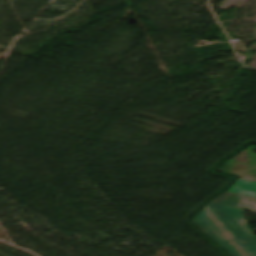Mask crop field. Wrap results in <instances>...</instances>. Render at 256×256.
Returning <instances> with one entry per match:
<instances>
[{
    "instance_id": "1",
    "label": "crop field",
    "mask_w": 256,
    "mask_h": 256,
    "mask_svg": "<svg viewBox=\"0 0 256 256\" xmlns=\"http://www.w3.org/2000/svg\"><path fill=\"white\" fill-rule=\"evenodd\" d=\"M192 222L232 256H256V236L241 209L211 202Z\"/></svg>"
},
{
    "instance_id": "2",
    "label": "crop field",
    "mask_w": 256,
    "mask_h": 256,
    "mask_svg": "<svg viewBox=\"0 0 256 256\" xmlns=\"http://www.w3.org/2000/svg\"><path fill=\"white\" fill-rule=\"evenodd\" d=\"M256 146L247 147L230 161H228V174L238 177L256 172V153L251 150Z\"/></svg>"
},
{
    "instance_id": "3",
    "label": "crop field",
    "mask_w": 256,
    "mask_h": 256,
    "mask_svg": "<svg viewBox=\"0 0 256 256\" xmlns=\"http://www.w3.org/2000/svg\"><path fill=\"white\" fill-rule=\"evenodd\" d=\"M229 191L256 198V183L239 178Z\"/></svg>"
},
{
    "instance_id": "4",
    "label": "crop field",
    "mask_w": 256,
    "mask_h": 256,
    "mask_svg": "<svg viewBox=\"0 0 256 256\" xmlns=\"http://www.w3.org/2000/svg\"><path fill=\"white\" fill-rule=\"evenodd\" d=\"M249 199L251 198L227 192L226 194L217 198L215 202L239 208Z\"/></svg>"
},
{
    "instance_id": "5",
    "label": "crop field",
    "mask_w": 256,
    "mask_h": 256,
    "mask_svg": "<svg viewBox=\"0 0 256 256\" xmlns=\"http://www.w3.org/2000/svg\"><path fill=\"white\" fill-rule=\"evenodd\" d=\"M240 208L256 212V199L252 198Z\"/></svg>"
},
{
    "instance_id": "6",
    "label": "crop field",
    "mask_w": 256,
    "mask_h": 256,
    "mask_svg": "<svg viewBox=\"0 0 256 256\" xmlns=\"http://www.w3.org/2000/svg\"><path fill=\"white\" fill-rule=\"evenodd\" d=\"M242 178L256 182V174L250 175V176H246V177H242Z\"/></svg>"
}]
</instances>
